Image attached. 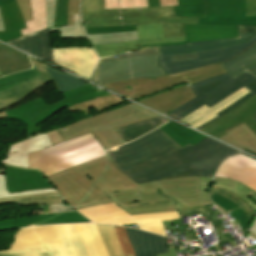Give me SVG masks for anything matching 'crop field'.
<instances>
[{"label": "crop field", "instance_id": "crop-field-42", "mask_svg": "<svg viewBox=\"0 0 256 256\" xmlns=\"http://www.w3.org/2000/svg\"><path fill=\"white\" fill-rule=\"evenodd\" d=\"M36 81H40V78L38 77L34 69L2 77L0 78V92Z\"/></svg>", "mask_w": 256, "mask_h": 256}, {"label": "crop field", "instance_id": "crop-field-5", "mask_svg": "<svg viewBox=\"0 0 256 256\" xmlns=\"http://www.w3.org/2000/svg\"><path fill=\"white\" fill-rule=\"evenodd\" d=\"M160 116L133 103L121 106L58 129L64 141L90 132L105 149L125 143L114 130Z\"/></svg>", "mask_w": 256, "mask_h": 256}, {"label": "crop field", "instance_id": "crop-field-1", "mask_svg": "<svg viewBox=\"0 0 256 256\" xmlns=\"http://www.w3.org/2000/svg\"><path fill=\"white\" fill-rule=\"evenodd\" d=\"M107 152L116 168L137 184L181 176L212 177L220 162L240 153L208 137L182 148L159 128Z\"/></svg>", "mask_w": 256, "mask_h": 256}, {"label": "crop field", "instance_id": "crop-field-20", "mask_svg": "<svg viewBox=\"0 0 256 256\" xmlns=\"http://www.w3.org/2000/svg\"><path fill=\"white\" fill-rule=\"evenodd\" d=\"M216 177L232 178L256 190V161L240 154L226 160L219 168Z\"/></svg>", "mask_w": 256, "mask_h": 256}, {"label": "crop field", "instance_id": "crop-field-34", "mask_svg": "<svg viewBox=\"0 0 256 256\" xmlns=\"http://www.w3.org/2000/svg\"><path fill=\"white\" fill-rule=\"evenodd\" d=\"M47 4V28L50 31L59 30L61 39L69 38H86L83 27L81 25L79 14H74V26H63L55 28V7L56 0H46Z\"/></svg>", "mask_w": 256, "mask_h": 256}, {"label": "crop field", "instance_id": "crop-field-31", "mask_svg": "<svg viewBox=\"0 0 256 256\" xmlns=\"http://www.w3.org/2000/svg\"><path fill=\"white\" fill-rule=\"evenodd\" d=\"M247 92H249L246 88H242L236 93L232 94L222 102H220L218 105L208 109L205 106L195 111L193 114L188 115L184 119L180 120L188 125H191L195 128L201 126L202 124L206 123L207 121L217 117L215 115L216 112L222 110L223 108L227 107L243 95H245ZM194 128V129H195Z\"/></svg>", "mask_w": 256, "mask_h": 256}, {"label": "crop field", "instance_id": "crop-field-22", "mask_svg": "<svg viewBox=\"0 0 256 256\" xmlns=\"http://www.w3.org/2000/svg\"><path fill=\"white\" fill-rule=\"evenodd\" d=\"M194 98L195 95L186 84L138 102L165 114Z\"/></svg>", "mask_w": 256, "mask_h": 256}, {"label": "crop field", "instance_id": "crop-field-65", "mask_svg": "<svg viewBox=\"0 0 256 256\" xmlns=\"http://www.w3.org/2000/svg\"><path fill=\"white\" fill-rule=\"evenodd\" d=\"M1 76H3V75H2V73H1V71H0V77H1Z\"/></svg>", "mask_w": 256, "mask_h": 256}, {"label": "crop field", "instance_id": "crop-field-50", "mask_svg": "<svg viewBox=\"0 0 256 256\" xmlns=\"http://www.w3.org/2000/svg\"><path fill=\"white\" fill-rule=\"evenodd\" d=\"M18 6L21 10V13L23 15L24 21H30L32 20V12L30 7V1L29 0H17Z\"/></svg>", "mask_w": 256, "mask_h": 256}, {"label": "crop field", "instance_id": "crop-field-28", "mask_svg": "<svg viewBox=\"0 0 256 256\" xmlns=\"http://www.w3.org/2000/svg\"><path fill=\"white\" fill-rule=\"evenodd\" d=\"M90 222L78 212L58 213L51 215H39L29 218L15 219L0 222V230L13 229L26 226L52 224V223H76Z\"/></svg>", "mask_w": 256, "mask_h": 256}, {"label": "crop field", "instance_id": "crop-field-40", "mask_svg": "<svg viewBox=\"0 0 256 256\" xmlns=\"http://www.w3.org/2000/svg\"><path fill=\"white\" fill-rule=\"evenodd\" d=\"M122 103H126L124 100L114 96H104V97H98L94 101H90L87 103L79 104V105H74L70 108H68L69 112H75V111H80L83 110L86 116L91 115V112L89 109L94 108L96 112H99L101 110L107 109L109 107L119 105Z\"/></svg>", "mask_w": 256, "mask_h": 256}, {"label": "crop field", "instance_id": "crop-field-15", "mask_svg": "<svg viewBox=\"0 0 256 256\" xmlns=\"http://www.w3.org/2000/svg\"><path fill=\"white\" fill-rule=\"evenodd\" d=\"M205 8L198 24L256 26V16L246 17L245 0H205Z\"/></svg>", "mask_w": 256, "mask_h": 256}, {"label": "crop field", "instance_id": "crop-field-21", "mask_svg": "<svg viewBox=\"0 0 256 256\" xmlns=\"http://www.w3.org/2000/svg\"><path fill=\"white\" fill-rule=\"evenodd\" d=\"M210 197L221 208L230 211L228 214L238 220L242 231H246L252 220V211L248 204L234 194L219 189H210Z\"/></svg>", "mask_w": 256, "mask_h": 256}, {"label": "crop field", "instance_id": "crop-field-62", "mask_svg": "<svg viewBox=\"0 0 256 256\" xmlns=\"http://www.w3.org/2000/svg\"><path fill=\"white\" fill-rule=\"evenodd\" d=\"M12 1H15V0H0V5L10 3Z\"/></svg>", "mask_w": 256, "mask_h": 256}, {"label": "crop field", "instance_id": "crop-field-13", "mask_svg": "<svg viewBox=\"0 0 256 256\" xmlns=\"http://www.w3.org/2000/svg\"><path fill=\"white\" fill-rule=\"evenodd\" d=\"M255 43L256 36L244 44L207 52L159 56L158 67H162L167 75L192 68L203 67L233 58Z\"/></svg>", "mask_w": 256, "mask_h": 256}, {"label": "crop field", "instance_id": "crop-field-30", "mask_svg": "<svg viewBox=\"0 0 256 256\" xmlns=\"http://www.w3.org/2000/svg\"><path fill=\"white\" fill-rule=\"evenodd\" d=\"M5 32H0V40L6 42L21 37L19 29L26 28L16 1L0 6Z\"/></svg>", "mask_w": 256, "mask_h": 256}, {"label": "crop field", "instance_id": "crop-field-10", "mask_svg": "<svg viewBox=\"0 0 256 256\" xmlns=\"http://www.w3.org/2000/svg\"><path fill=\"white\" fill-rule=\"evenodd\" d=\"M223 73H226V70L220 63H218L178 74L156 77L155 80L143 78L138 80L115 82L102 86L134 100L185 81L191 85Z\"/></svg>", "mask_w": 256, "mask_h": 256}, {"label": "crop field", "instance_id": "crop-field-36", "mask_svg": "<svg viewBox=\"0 0 256 256\" xmlns=\"http://www.w3.org/2000/svg\"><path fill=\"white\" fill-rule=\"evenodd\" d=\"M210 188H219V189L227 190L236 194L251 206L253 210V217L255 216L256 192L254 190L250 189L249 187L235 180L225 179V178H216V177H214Z\"/></svg>", "mask_w": 256, "mask_h": 256}, {"label": "crop field", "instance_id": "crop-field-11", "mask_svg": "<svg viewBox=\"0 0 256 256\" xmlns=\"http://www.w3.org/2000/svg\"><path fill=\"white\" fill-rule=\"evenodd\" d=\"M79 211L95 223L116 225L137 223L139 229L163 235H165V232L161 221L180 219L178 212L130 216L115 203L93 206Z\"/></svg>", "mask_w": 256, "mask_h": 256}, {"label": "crop field", "instance_id": "crop-field-56", "mask_svg": "<svg viewBox=\"0 0 256 256\" xmlns=\"http://www.w3.org/2000/svg\"><path fill=\"white\" fill-rule=\"evenodd\" d=\"M222 224H224V223L221 221V219H219V220L213 222V225H214L215 228H216V232H217V234L219 235L220 240L225 239L224 234H223L222 231L220 230V229H223V228H224V226H223Z\"/></svg>", "mask_w": 256, "mask_h": 256}, {"label": "crop field", "instance_id": "crop-field-9", "mask_svg": "<svg viewBox=\"0 0 256 256\" xmlns=\"http://www.w3.org/2000/svg\"><path fill=\"white\" fill-rule=\"evenodd\" d=\"M63 99L51 105H47L41 97L32 100L17 109L6 111L8 119H16L24 122L27 127V137L42 132L40 126L36 124L45 121L53 116L57 111L74 104L83 103L95 99L98 96L110 95L91 85L77 88L62 93Z\"/></svg>", "mask_w": 256, "mask_h": 256}, {"label": "crop field", "instance_id": "crop-field-7", "mask_svg": "<svg viewBox=\"0 0 256 256\" xmlns=\"http://www.w3.org/2000/svg\"><path fill=\"white\" fill-rule=\"evenodd\" d=\"M103 155H106V152L90 133L39 152L30 153L28 157L30 169H39L47 177Z\"/></svg>", "mask_w": 256, "mask_h": 256}, {"label": "crop field", "instance_id": "crop-field-48", "mask_svg": "<svg viewBox=\"0 0 256 256\" xmlns=\"http://www.w3.org/2000/svg\"><path fill=\"white\" fill-rule=\"evenodd\" d=\"M67 2L68 0H57L56 27L67 25Z\"/></svg>", "mask_w": 256, "mask_h": 256}, {"label": "crop field", "instance_id": "crop-field-3", "mask_svg": "<svg viewBox=\"0 0 256 256\" xmlns=\"http://www.w3.org/2000/svg\"><path fill=\"white\" fill-rule=\"evenodd\" d=\"M139 190L107 194L130 215L179 211L180 215L200 214L210 221L212 213L202 200L200 177H182L138 185Z\"/></svg>", "mask_w": 256, "mask_h": 256}, {"label": "crop field", "instance_id": "crop-field-38", "mask_svg": "<svg viewBox=\"0 0 256 256\" xmlns=\"http://www.w3.org/2000/svg\"><path fill=\"white\" fill-rule=\"evenodd\" d=\"M167 121L169 120L160 116L128 127L116 129V131L126 142H129L150 132Z\"/></svg>", "mask_w": 256, "mask_h": 256}, {"label": "crop field", "instance_id": "crop-field-2", "mask_svg": "<svg viewBox=\"0 0 256 256\" xmlns=\"http://www.w3.org/2000/svg\"><path fill=\"white\" fill-rule=\"evenodd\" d=\"M178 1L179 6L103 10L104 0H82V21L87 35L132 31L136 25L163 22L165 38L184 37L183 24H197L198 17H205L204 0Z\"/></svg>", "mask_w": 256, "mask_h": 256}, {"label": "crop field", "instance_id": "crop-field-4", "mask_svg": "<svg viewBox=\"0 0 256 256\" xmlns=\"http://www.w3.org/2000/svg\"><path fill=\"white\" fill-rule=\"evenodd\" d=\"M47 251L51 256H108L95 224L24 228L9 249V253Z\"/></svg>", "mask_w": 256, "mask_h": 256}, {"label": "crop field", "instance_id": "crop-field-45", "mask_svg": "<svg viewBox=\"0 0 256 256\" xmlns=\"http://www.w3.org/2000/svg\"><path fill=\"white\" fill-rule=\"evenodd\" d=\"M15 203L20 204H51V203H65L58 193L53 194H44V195H35V196H27V197H18L14 198Z\"/></svg>", "mask_w": 256, "mask_h": 256}, {"label": "crop field", "instance_id": "crop-field-54", "mask_svg": "<svg viewBox=\"0 0 256 256\" xmlns=\"http://www.w3.org/2000/svg\"><path fill=\"white\" fill-rule=\"evenodd\" d=\"M47 133L50 137L52 144H58L60 142H63V139L60 136V134L58 133L57 129L48 131Z\"/></svg>", "mask_w": 256, "mask_h": 256}, {"label": "crop field", "instance_id": "crop-field-29", "mask_svg": "<svg viewBox=\"0 0 256 256\" xmlns=\"http://www.w3.org/2000/svg\"><path fill=\"white\" fill-rule=\"evenodd\" d=\"M30 60L34 65L35 71L37 72L42 81L0 93V110L16 104L18 101L30 94L32 91L52 79L46 72L40 61L31 57Z\"/></svg>", "mask_w": 256, "mask_h": 256}, {"label": "crop field", "instance_id": "crop-field-44", "mask_svg": "<svg viewBox=\"0 0 256 256\" xmlns=\"http://www.w3.org/2000/svg\"><path fill=\"white\" fill-rule=\"evenodd\" d=\"M92 45L138 40L137 31L88 36Z\"/></svg>", "mask_w": 256, "mask_h": 256}, {"label": "crop field", "instance_id": "crop-field-16", "mask_svg": "<svg viewBox=\"0 0 256 256\" xmlns=\"http://www.w3.org/2000/svg\"><path fill=\"white\" fill-rule=\"evenodd\" d=\"M137 28L139 41L93 46L98 57L102 58L120 53L138 51V45L185 41L184 38L164 39L162 23L137 26Z\"/></svg>", "mask_w": 256, "mask_h": 256}, {"label": "crop field", "instance_id": "crop-field-64", "mask_svg": "<svg viewBox=\"0 0 256 256\" xmlns=\"http://www.w3.org/2000/svg\"><path fill=\"white\" fill-rule=\"evenodd\" d=\"M6 117L5 112L0 113V118Z\"/></svg>", "mask_w": 256, "mask_h": 256}, {"label": "crop field", "instance_id": "crop-field-17", "mask_svg": "<svg viewBox=\"0 0 256 256\" xmlns=\"http://www.w3.org/2000/svg\"><path fill=\"white\" fill-rule=\"evenodd\" d=\"M53 52L57 65L74 71L90 80L97 64V57L92 48H61L53 49Z\"/></svg>", "mask_w": 256, "mask_h": 256}, {"label": "crop field", "instance_id": "crop-field-25", "mask_svg": "<svg viewBox=\"0 0 256 256\" xmlns=\"http://www.w3.org/2000/svg\"><path fill=\"white\" fill-rule=\"evenodd\" d=\"M186 42L156 44L143 47L186 44L192 41L233 38L237 36V26L184 25Z\"/></svg>", "mask_w": 256, "mask_h": 256}, {"label": "crop field", "instance_id": "crop-field-19", "mask_svg": "<svg viewBox=\"0 0 256 256\" xmlns=\"http://www.w3.org/2000/svg\"><path fill=\"white\" fill-rule=\"evenodd\" d=\"M239 38L193 42L187 45L160 47V55L207 51L247 42L256 35V27L238 26Z\"/></svg>", "mask_w": 256, "mask_h": 256}, {"label": "crop field", "instance_id": "crop-field-23", "mask_svg": "<svg viewBox=\"0 0 256 256\" xmlns=\"http://www.w3.org/2000/svg\"><path fill=\"white\" fill-rule=\"evenodd\" d=\"M6 184L10 193L52 187L38 171L9 166H6Z\"/></svg>", "mask_w": 256, "mask_h": 256}, {"label": "crop field", "instance_id": "crop-field-43", "mask_svg": "<svg viewBox=\"0 0 256 256\" xmlns=\"http://www.w3.org/2000/svg\"><path fill=\"white\" fill-rule=\"evenodd\" d=\"M97 227L109 256H124L114 227L111 225H97Z\"/></svg>", "mask_w": 256, "mask_h": 256}, {"label": "crop field", "instance_id": "crop-field-58", "mask_svg": "<svg viewBox=\"0 0 256 256\" xmlns=\"http://www.w3.org/2000/svg\"><path fill=\"white\" fill-rule=\"evenodd\" d=\"M0 173H5V166L0 168ZM14 202L13 198L0 199V204Z\"/></svg>", "mask_w": 256, "mask_h": 256}, {"label": "crop field", "instance_id": "crop-field-55", "mask_svg": "<svg viewBox=\"0 0 256 256\" xmlns=\"http://www.w3.org/2000/svg\"><path fill=\"white\" fill-rule=\"evenodd\" d=\"M247 16L256 15V0H246Z\"/></svg>", "mask_w": 256, "mask_h": 256}, {"label": "crop field", "instance_id": "crop-field-59", "mask_svg": "<svg viewBox=\"0 0 256 256\" xmlns=\"http://www.w3.org/2000/svg\"><path fill=\"white\" fill-rule=\"evenodd\" d=\"M156 256H177V255L175 253V249L171 248V249H169V253L159 254V255H156Z\"/></svg>", "mask_w": 256, "mask_h": 256}, {"label": "crop field", "instance_id": "crop-field-32", "mask_svg": "<svg viewBox=\"0 0 256 256\" xmlns=\"http://www.w3.org/2000/svg\"><path fill=\"white\" fill-rule=\"evenodd\" d=\"M226 133V135L219 139L256 154V134L244 123L226 131Z\"/></svg>", "mask_w": 256, "mask_h": 256}, {"label": "crop field", "instance_id": "crop-field-57", "mask_svg": "<svg viewBox=\"0 0 256 256\" xmlns=\"http://www.w3.org/2000/svg\"><path fill=\"white\" fill-rule=\"evenodd\" d=\"M161 6H166V5H178L177 0H160Z\"/></svg>", "mask_w": 256, "mask_h": 256}, {"label": "crop field", "instance_id": "crop-field-27", "mask_svg": "<svg viewBox=\"0 0 256 256\" xmlns=\"http://www.w3.org/2000/svg\"><path fill=\"white\" fill-rule=\"evenodd\" d=\"M7 43L55 64L49 29L18 38Z\"/></svg>", "mask_w": 256, "mask_h": 256}, {"label": "crop field", "instance_id": "crop-field-51", "mask_svg": "<svg viewBox=\"0 0 256 256\" xmlns=\"http://www.w3.org/2000/svg\"><path fill=\"white\" fill-rule=\"evenodd\" d=\"M73 13H79V0H69L68 25H73Z\"/></svg>", "mask_w": 256, "mask_h": 256}, {"label": "crop field", "instance_id": "crop-field-33", "mask_svg": "<svg viewBox=\"0 0 256 256\" xmlns=\"http://www.w3.org/2000/svg\"><path fill=\"white\" fill-rule=\"evenodd\" d=\"M31 67L28 56L0 45V68L4 75L26 70Z\"/></svg>", "mask_w": 256, "mask_h": 256}, {"label": "crop field", "instance_id": "crop-field-18", "mask_svg": "<svg viewBox=\"0 0 256 256\" xmlns=\"http://www.w3.org/2000/svg\"><path fill=\"white\" fill-rule=\"evenodd\" d=\"M254 117H256V95L201 130L219 138L226 134L224 131L244 122L256 133V122L252 119Z\"/></svg>", "mask_w": 256, "mask_h": 256}, {"label": "crop field", "instance_id": "crop-field-12", "mask_svg": "<svg viewBox=\"0 0 256 256\" xmlns=\"http://www.w3.org/2000/svg\"><path fill=\"white\" fill-rule=\"evenodd\" d=\"M48 180L66 202L76 209L111 202L104 192L96 189L71 168L48 177Z\"/></svg>", "mask_w": 256, "mask_h": 256}, {"label": "crop field", "instance_id": "crop-field-39", "mask_svg": "<svg viewBox=\"0 0 256 256\" xmlns=\"http://www.w3.org/2000/svg\"><path fill=\"white\" fill-rule=\"evenodd\" d=\"M31 7L33 21L25 23L27 29L20 30L23 36L46 28L45 0H31Z\"/></svg>", "mask_w": 256, "mask_h": 256}, {"label": "crop field", "instance_id": "crop-field-49", "mask_svg": "<svg viewBox=\"0 0 256 256\" xmlns=\"http://www.w3.org/2000/svg\"><path fill=\"white\" fill-rule=\"evenodd\" d=\"M118 235L119 242L124 250L125 256H135L132 248L130 246V243L128 241L126 231L124 227H117L114 226Z\"/></svg>", "mask_w": 256, "mask_h": 256}, {"label": "crop field", "instance_id": "crop-field-46", "mask_svg": "<svg viewBox=\"0 0 256 256\" xmlns=\"http://www.w3.org/2000/svg\"><path fill=\"white\" fill-rule=\"evenodd\" d=\"M147 0H105L104 9L144 8Z\"/></svg>", "mask_w": 256, "mask_h": 256}, {"label": "crop field", "instance_id": "crop-field-35", "mask_svg": "<svg viewBox=\"0 0 256 256\" xmlns=\"http://www.w3.org/2000/svg\"><path fill=\"white\" fill-rule=\"evenodd\" d=\"M221 64L233 78L247 70L256 75V44L239 56Z\"/></svg>", "mask_w": 256, "mask_h": 256}, {"label": "crop field", "instance_id": "crop-field-61", "mask_svg": "<svg viewBox=\"0 0 256 256\" xmlns=\"http://www.w3.org/2000/svg\"><path fill=\"white\" fill-rule=\"evenodd\" d=\"M250 234L253 235L256 239V221H255V223H254V225H253V227L250 231Z\"/></svg>", "mask_w": 256, "mask_h": 256}, {"label": "crop field", "instance_id": "crop-field-26", "mask_svg": "<svg viewBox=\"0 0 256 256\" xmlns=\"http://www.w3.org/2000/svg\"><path fill=\"white\" fill-rule=\"evenodd\" d=\"M126 231L136 256H155L168 252L164 237L131 228H126Z\"/></svg>", "mask_w": 256, "mask_h": 256}, {"label": "crop field", "instance_id": "crop-field-63", "mask_svg": "<svg viewBox=\"0 0 256 256\" xmlns=\"http://www.w3.org/2000/svg\"><path fill=\"white\" fill-rule=\"evenodd\" d=\"M0 31H4V29H3V23H2L1 13H0Z\"/></svg>", "mask_w": 256, "mask_h": 256}, {"label": "crop field", "instance_id": "crop-field-47", "mask_svg": "<svg viewBox=\"0 0 256 256\" xmlns=\"http://www.w3.org/2000/svg\"><path fill=\"white\" fill-rule=\"evenodd\" d=\"M53 192H56L55 189H54V188H50V189H44V190L27 191V192H22V193L10 194V193L6 190L5 174H0V198H5V197H17V196H27V195L44 194V193H53Z\"/></svg>", "mask_w": 256, "mask_h": 256}, {"label": "crop field", "instance_id": "crop-field-37", "mask_svg": "<svg viewBox=\"0 0 256 256\" xmlns=\"http://www.w3.org/2000/svg\"><path fill=\"white\" fill-rule=\"evenodd\" d=\"M159 128L163 130L167 135H169L182 147L188 143H190L193 146L197 142L206 137L198 132L185 128L172 121Z\"/></svg>", "mask_w": 256, "mask_h": 256}, {"label": "crop field", "instance_id": "crop-field-24", "mask_svg": "<svg viewBox=\"0 0 256 256\" xmlns=\"http://www.w3.org/2000/svg\"><path fill=\"white\" fill-rule=\"evenodd\" d=\"M51 145L47 133H43L11 145L6 155V159L0 161V163L29 168L27 153L38 151Z\"/></svg>", "mask_w": 256, "mask_h": 256}, {"label": "crop field", "instance_id": "crop-field-6", "mask_svg": "<svg viewBox=\"0 0 256 256\" xmlns=\"http://www.w3.org/2000/svg\"><path fill=\"white\" fill-rule=\"evenodd\" d=\"M243 86L251 92L217 113V118L197 128L199 130L212 123L213 121L219 119L233 108L247 100L249 97L256 94V76L248 71L233 79L228 73H226L211 79L204 80L195 85H191L190 88L197 98L175 109L167 115L180 120L203 105L210 108L211 106L218 104L220 101L236 92ZM254 120L256 121V118H254Z\"/></svg>", "mask_w": 256, "mask_h": 256}, {"label": "crop field", "instance_id": "crop-field-52", "mask_svg": "<svg viewBox=\"0 0 256 256\" xmlns=\"http://www.w3.org/2000/svg\"><path fill=\"white\" fill-rule=\"evenodd\" d=\"M212 178H205V177H201V182H202V196L204 199V202L206 204H212L209 197H208V186L210 184Z\"/></svg>", "mask_w": 256, "mask_h": 256}, {"label": "crop field", "instance_id": "crop-field-60", "mask_svg": "<svg viewBox=\"0 0 256 256\" xmlns=\"http://www.w3.org/2000/svg\"><path fill=\"white\" fill-rule=\"evenodd\" d=\"M149 7L160 6L159 0H148Z\"/></svg>", "mask_w": 256, "mask_h": 256}, {"label": "crop field", "instance_id": "crop-field-8", "mask_svg": "<svg viewBox=\"0 0 256 256\" xmlns=\"http://www.w3.org/2000/svg\"><path fill=\"white\" fill-rule=\"evenodd\" d=\"M158 47L146 48L139 53L102 58L96 68L95 81L102 85L115 81L166 75L157 68Z\"/></svg>", "mask_w": 256, "mask_h": 256}, {"label": "crop field", "instance_id": "crop-field-53", "mask_svg": "<svg viewBox=\"0 0 256 256\" xmlns=\"http://www.w3.org/2000/svg\"><path fill=\"white\" fill-rule=\"evenodd\" d=\"M0 256H50V253H21V254H8V250L0 251Z\"/></svg>", "mask_w": 256, "mask_h": 256}, {"label": "crop field", "instance_id": "crop-field-14", "mask_svg": "<svg viewBox=\"0 0 256 256\" xmlns=\"http://www.w3.org/2000/svg\"><path fill=\"white\" fill-rule=\"evenodd\" d=\"M72 169L106 193L138 189L136 183L114 168L109 155L77 165Z\"/></svg>", "mask_w": 256, "mask_h": 256}, {"label": "crop field", "instance_id": "crop-field-41", "mask_svg": "<svg viewBox=\"0 0 256 256\" xmlns=\"http://www.w3.org/2000/svg\"><path fill=\"white\" fill-rule=\"evenodd\" d=\"M41 63L43 64L47 72L50 74V76L54 79L55 84L58 90L60 91V93L88 84L69 74H66L60 70H57L43 62Z\"/></svg>", "mask_w": 256, "mask_h": 256}]
</instances>
